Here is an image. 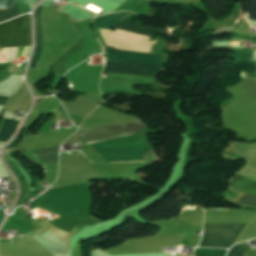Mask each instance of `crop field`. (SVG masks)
<instances>
[{
	"instance_id": "1",
	"label": "crop field",
	"mask_w": 256,
	"mask_h": 256,
	"mask_svg": "<svg viewBox=\"0 0 256 256\" xmlns=\"http://www.w3.org/2000/svg\"><path fill=\"white\" fill-rule=\"evenodd\" d=\"M91 145L109 162L150 160L153 155L146 136L128 135Z\"/></svg>"
},
{
	"instance_id": "2",
	"label": "crop field",
	"mask_w": 256,
	"mask_h": 256,
	"mask_svg": "<svg viewBox=\"0 0 256 256\" xmlns=\"http://www.w3.org/2000/svg\"><path fill=\"white\" fill-rule=\"evenodd\" d=\"M115 28L140 33L157 38L155 35L158 33L165 34L163 30L152 29L142 25L121 22L118 27ZM160 67L135 64V63H121V62H106L103 72H114L124 74L142 75L153 78Z\"/></svg>"
},
{
	"instance_id": "3",
	"label": "crop field",
	"mask_w": 256,
	"mask_h": 256,
	"mask_svg": "<svg viewBox=\"0 0 256 256\" xmlns=\"http://www.w3.org/2000/svg\"><path fill=\"white\" fill-rule=\"evenodd\" d=\"M31 45L30 15L0 24V48Z\"/></svg>"
},
{
	"instance_id": "4",
	"label": "crop field",
	"mask_w": 256,
	"mask_h": 256,
	"mask_svg": "<svg viewBox=\"0 0 256 256\" xmlns=\"http://www.w3.org/2000/svg\"><path fill=\"white\" fill-rule=\"evenodd\" d=\"M245 224L204 225L199 247L230 248Z\"/></svg>"
},
{
	"instance_id": "5",
	"label": "crop field",
	"mask_w": 256,
	"mask_h": 256,
	"mask_svg": "<svg viewBox=\"0 0 256 256\" xmlns=\"http://www.w3.org/2000/svg\"><path fill=\"white\" fill-rule=\"evenodd\" d=\"M148 129L146 125L142 124L141 121L133 122L129 124L87 130L77 132L75 135L82 138L86 143L105 140L110 137L132 134V133H140L144 130Z\"/></svg>"
},
{
	"instance_id": "6",
	"label": "crop field",
	"mask_w": 256,
	"mask_h": 256,
	"mask_svg": "<svg viewBox=\"0 0 256 256\" xmlns=\"http://www.w3.org/2000/svg\"><path fill=\"white\" fill-rule=\"evenodd\" d=\"M52 11L41 7V25H42V52L37 68L43 69L49 55V48L51 45L50 25H51Z\"/></svg>"
},
{
	"instance_id": "7",
	"label": "crop field",
	"mask_w": 256,
	"mask_h": 256,
	"mask_svg": "<svg viewBox=\"0 0 256 256\" xmlns=\"http://www.w3.org/2000/svg\"><path fill=\"white\" fill-rule=\"evenodd\" d=\"M231 187L256 195V183L235 176L231 181ZM246 193L238 202L256 207V196Z\"/></svg>"
},
{
	"instance_id": "8",
	"label": "crop field",
	"mask_w": 256,
	"mask_h": 256,
	"mask_svg": "<svg viewBox=\"0 0 256 256\" xmlns=\"http://www.w3.org/2000/svg\"><path fill=\"white\" fill-rule=\"evenodd\" d=\"M59 146L33 150L32 153L43 165L54 164L57 163Z\"/></svg>"
},
{
	"instance_id": "9",
	"label": "crop field",
	"mask_w": 256,
	"mask_h": 256,
	"mask_svg": "<svg viewBox=\"0 0 256 256\" xmlns=\"http://www.w3.org/2000/svg\"><path fill=\"white\" fill-rule=\"evenodd\" d=\"M14 0H0V22L18 16Z\"/></svg>"
},
{
	"instance_id": "10",
	"label": "crop field",
	"mask_w": 256,
	"mask_h": 256,
	"mask_svg": "<svg viewBox=\"0 0 256 256\" xmlns=\"http://www.w3.org/2000/svg\"><path fill=\"white\" fill-rule=\"evenodd\" d=\"M4 121L0 127V140L7 141L14 133L18 121L3 118Z\"/></svg>"
},
{
	"instance_id": "11",
	"label": "crop field",
	"mask_w": 256,
	"mask_h": 256,
	"mask_svg": "<svg viewBox=\"0 0 256 256\" xmlns=\"http://www.w3.org/2000/svg\"><path fill=\"white\" fill-rule=\"evenodd\" d=\"M226 252L221 249H198L196 256H225Z\"/></svg>"
},
{
	"instance_id": "12",
	"label": "crop field",
	"mask_w": 256,
	"mask_h": 256,
	"mask_svg": "<svg viewBox=\"0 0 256 256\" xmlns=\"http://www.w3.org/2000/svg\"><path fill=\"white\" fill-rule=\"evenodd\" d=\"M245 250L246 246L236 245L230 249L228 256H242Z\"/></svg>"
},
{
	"instance_id": "13",
	"label": "crop field",
	"mask_w": 256,
	"mask_h": 256,
	"mask_svg": "<svg viewBox=\"0 0 256 256\" xmlns=\"http://www.w3.org/2000/svg\"><path fill=\"white\" fill-rule=\"evenodd\" d=\"M7 100H8V98H6V97H0V105H4Z\"/></svg>"
},
{
	"instance_id": "14",
	"label": "crop field",
	"mask_w": 256,
	"mask_h": 256,
	"mask_svg": "<svg viewBox=\"0 0 256 256\" xmlns=\"http://www.w3.org/2000/svg\"><path fill=\"white\" fill-rule=\"evenodd\" d=\"M27 48V47H26ZM26 48H25V50H26ZM24 53H25V51H24Z\"/></svg>"
}]
</instances>
